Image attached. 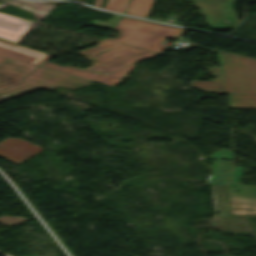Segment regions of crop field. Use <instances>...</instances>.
I'll use <instances>...</instances> for the list:
<instances>
[{
    "instance_id": "obj_7",
    "label": "crop field",
    "mask_w": 256,
    "mask_h": 256,
    "mask_svg": "<svg viewBox=\"0 0 256 256\" xmlns=\"http://www.w3.org/2000/svg\"><path fill=\"white\" fill-rule=\"evenodd\" d=\"M41 67L49 68L52 70L64 72L67 74L75 75L78 77L90 79L93 81H97L109 86H114L126 76L127 72L130 71L132 68L135 67L133 64H129L107 76L97 74L95 72L86 70V69H80L72 66H59L54 63L46 62Z\"/></svg>"
},
{
    "instance_id": "obj_18",
    "label": "crop field",
    "mask_w": 256,
    "mask_h": 256,
    "mask_svg": "<svg viewBox=\"0 0 256 256\" xmlns=\"http://www.w3.org/2000/svg\"><path fill=\"white\" fill-rule=\"evenodd\" d=\"M7 58L0 57V64L5 61Z\"/></svg>"
},
{
    "instance_id": "obj_15",
    "label": "crop field",
    "mask_w": 256,
    "mask_h": 256,
    "mask_svg": "<svg viewBox=\"0 0 256 256\" xmlns=\"http://www.w3.org/2000/svg\"><path fill=\"white\" fill-rule=\"evenodd\" d=\"M120 17L121 16L114 15L107 22L93 19V26L111 29L113 27V25L119 20Z\"/></svg>"
},
{
    "instance_id": "obj_9",
    "label": "crop field",
    "mask_w": 256,
    "mask_h": 256,
    "mask_svg": "<svg viewBox=\"0 0 256 256\" xmlns=\"http://www.w3.org/2000/svg\"><path fill=\"white\" fill-rule=\"evenodd\" d=\"M34 24L35 22L0 13V37L18 43Z\"/></svg>"
},
{
    "instance_id": "obj_13",
    "label": "crop field",
    "mask_w": 256,
    "mask_h": 256,
    "mask_svg": "<svg viewBox=\"0 0 256 256\" xmlns=\"http://www.w3.org/2000/svg\"><path fill=\"white\" fill-rule=\"evenodd\" d=\"M153 0H131L125 14L146 18Z\"/></svg>"
},
{
    "instance_id": "obj_17",
    "label": "crop field",
    "mask_w": 256,
    "mask_h": 256,
    "mask_svg": "<svg viewBox=\"0 0 256 256\" xmlns=\"http://www.w3.org/2000/svg\"><path fill=\"white\" fill-rule=\"evenodd\" d=\"M210 157L233 160L232 152L224 149L212 154Z\"/></svg>"
},
{
    "instance_id": "obj_14",
    "label": "crop field",
    "mask_w": 256,
    "mask_h": 256,
    "mask_svg": "<svg viewBox=\"0 0 256 256\" xmlns=\"http://www.w3.org/2000/svg\"><path fill=\"white\" fill-rule=\"evenodd\" d=\"M102 1L103 0H96L93 6L99 8ZM128 3H129V0H108L105 8H101V9L124 13Z\"/></svg>"
},
{
    "instance_id": "obj_4",
    "label": "crop field",
    "mask_w": 256,
    "mask_h": 256,
    "mask_svg": "<svg viewBox=\"0 0 256 256\" xmlns=\"http://www.w3.org/2000/svg\"><path fill=\"white\" fill-rule=\"evenodd\" d=\"M37 66L7 59L0 65V102L41 89L20 81Z\"/></svg>"
},
{
    "instance_id": "obj_11",
    "label": "crop field",
    "mask_w": 256,
    "mask_h": 256,
    "mask_svg": "<svg viewBox=\"0 0 256 256\" xmlns=\"http://www.w3.org/2000/svg\"><path fill=\"white\" fill-rule=\"evenodd\" d=\"M207 69L213 75L215 81H193L190 82V85L202 91L222 93V74L220 69L213 67H208Z\"/></svg>"
},
{
    "instance_id": "obj_6",
    "label": "crop field",
    "mask_w": 256,
    "mask_h": 256,
    "mask_svg": "<svg viewBox=\"0 0 256 256\" xmlns=\"http://www.w3.org/2000/svg\"><path fill=\"white\" fill-rule=\"evenodd\" d=\"M22 81L48 90H54L58 86L74 90L92 83L90 80L41 67L35 69L28 76L22 79Z\"/></svg>"
},
{
    "instance_id": "obj_8",
    "label": "crop field",
    "mask_w": 256,
    "mask_h": 256,
    "mask_svg": "<svg viewBox=\"0 0 256 256\" xmlns=\"http://www.w3.org/2000/svg\"><path fill=\"white\" fill-rule=\"evenodd\" d=\"M41 151H43L41 147L22 139L6 138L0 141V156L17 165Z\"/></svg>"
},
{
    "instance_id": "obj_5",
    "label": "crop field",
    "mask_w": 256,
    "mask_h": 256,
    "mask_svg": "<svg viewBox=\"0 0 256 256\" xmlns=\"http://www.w3.org/2000/svg\"><path fill=\"white\" fill-rule=\"evenodd\" d=\"M212 30L234 29L240 22L233 10L236 0H195Z\"/></svg>"
},
{
    "instance_id": "obj_12",
    "label": "crop field",
    "mask_w": 256,
    "mask_h": 256,
    "mask_svg": "<svg viewBox=\"0 0 256 256\" xmlns=\"http://www.w3.org/2000/svg\"><path fill=\"white\" fill-rule=\"evenodd\" d=\"M229 108L256 109V96L229 94Z\"/></svg>"
},
{
    "instance_id": "obj_10",
    "label": "crop field",
    "mask_w": 256,
    "mask_h": 256,
    "mask_svg": "<svg viewBox=\"0 0 256 256\" xmlns=\"http://www.w3.org/2000/svg\"><path fill=\"white\" fill-rule=\"evenodd\" d=\"M0 56L39 66L53 56L24 48L0 39Z\"/></svg>"
},
{
    "instance_id": "obj_1",
    "label": "crop field",
    "mask_w": 256,
    "mask_h": 256,
    "mask_svg": "<svg viewBox=\"0 0 256 256\" xmlns=\"http://www.w3.org/2000/svg\"><path fill=\"white\" fill-rule=\"evenodd\" d=\"M96 43L97 46L76 54L86 57L95 64L86 69L104 74H109L129 63H135L159 54L106 39Z\"/></svg>"
},
{
    "instance_id": "obj_3",
    "label": "crop field",
    "mask_w": 256,
    "mask_h": 256,
    "mask_svg": "<svg viewBox=\"0 0 256 256\" xmlns=\"http://www.w3.org/2000/svg\"><path fill=\"white\" fill-rule=\"evenodd\" d=\"M226 93L256 94V60L217 51Z\"/></svg>"
},
{
    "instance_id": "obj_2",
    "label": "crop field",
    "mask_w": 256,
    "mask_h": 256,
    "mask_svg": "<svg viewBox=\"0 0 256 256\" xmlns=\"http://www.w3.org/2000/svg\"><path fill=\"white\" fill-rule=\"evenodd\" d=\"M120 31L119 38H106L132 46L161 53L166 47L161 46L165 38L177 39L182 29L123 17L115 26Z\"/></svg>"
},
{
    "instance_id": "obj_16",
    "label": "crop field",
    "mask_w": 256,
    "mask_h": 256,
    "mask_svg": "<svg viewBox=\"0 0 256 256\" xmlns=\"http://www.w3.org/2000/svg\"><path fill=\"white\" fill-rule=\"evenodd\" d=\"M24 221H27L23 217H9V216H4L0 218V224H3L7 227L17 225L19 223H22Z\"/></svg>"
}]
</instances>
